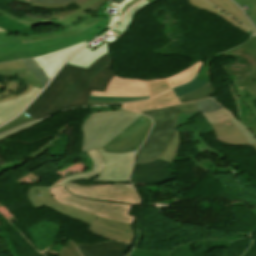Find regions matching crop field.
I'll use <instances>...</instances> for the list:
<instances>
[{"label": "crop field", "mask_w": 256, "mask_h": 256, "mask_svg": "<svg viewBox=\"0 0 256 256\" xmlns=\"http://www.w3.org/2000/svg\"><path fill=\"white\" fill-rule=\"evenodd\" d=\"M111 63L109 52L88 69L66 64L24 112L38 120L60 110L86 106L91 90L105 91L114 76Z\"/></svg>", "instance_id": "1"}, {"label": "crop field", "mask_w": 256, "mask_h": 256, "mask_svg": "<svg viewBox=\"0 0 256 256\" xmlns=\"http://www.w3.org/2000/svg\"><path fill=\"white\" fill-rule=\"evenodd\" d=\"M108 23L109 19H104L77 35L29 44H23L19 37L10 33H0V63L31 57L50 79L70 55L90 42Z\"/></svg>", "instance_id": "2"}, {"label": "crop field", "mask_w": 256, "mask_h": 256, "mask_svg": "<svg viewBox=\"0 0 256 256\" xmlns=\"http://www.w3.org/2000/svg\"><path fill=\"white\" fill-rule=\"evenodd\" d=\"M183 112H200L194 103L164 109L140 111L149 116L154 125L144 145L135 155V163L150 161L161 155L173 137L178 115Z\"/></svg>", "instance_id": "3"}, {"label": "crop field", "mask_w": 256, "mask_h": 256, "mask_svg": "<svg viewBox=\"0 0 256 256\" xmlns=\"http://www.w3.org/2000/svg\"><path fill=\"white\" fill-rule=\"evenodd\" d=\"M139 116L125 110L91 113L90 118L82 124V151L102 147Z\"/></svg>", "instance_id": "4"}, {"label": "crop field", "mask_w": 256, "mask_h": 256, "mask_svg": "<svg viewBox=\"0 0 256 256\" xmlns=\"http://www.w3.org/2000/svg\"><path fill=\"white\" fill-rule=\"evenodd\" d=\"M54 198L69 206L80 208L94 215L132 224L137 217L129 215L130 208L134 205L94 201L78 198L69 193L65 186L51 188Z\"/></svg>", "instance_id": "5"}, {"label": "crop field", "mask_w": 256, "mask_h": 256, "mask_svg": "<svg viewBox=\"0 0 256 256\" xmlns=\"http://www.w3.org/2000/svg\"><path fill=\"white\" fill-rule=\"evenodd\" d=\"M72 194L94 200L111 201L127 204H140V198L132 185L106 184L79 186L73 183L66 185Z\"/></svg>", "instance_id": "6"}, {"label": "crop field", "mask_w": 256, "mask_h": 256, "mask_svg": "<svg viewBox=\"0 0 256 256\" xmlns=\"http://www.w3.org/2000/svg\"><path fill=\"white\" fill-rule=\"evenodd\" d=\"M151 125V120L142 115L103 147L107 152H130L137 150L144 141Z\"/></svg>", "instance_id": "7"}, {"label": "crop field", "mask_w": 256, "mask_h": 256, "mask_svg": "<svg viewBox=\"0 0 256 256\" xmlns=\"http://www.w3.org/2000/svg\"><path fill=\"white\" fill-rule=\"evenodd\" d=\"M222 55L248 56L253 63L249 66L238 64V66L241 67L240 69H229L226 68L224 64L221 65V67L224 69L227 75L232 74L235 76L236 79L233 81L235 88L256 82V36L251 37L245 44L228 52L222 53Z\"/></svg>", "instance_id": "8"}, {"label": "crop field", "mask_w": 256, "mask_h": 256, "mask_svg": "<svg viewBox=\"0 0 256 256\" xmlns=\"http://www.w3.org/2000/svg\"><path fill=\"white\" fill-rule=\"evenodd\" d=\"M2 16V15H1ZM5 17V16H4ZM8 18V17H6ZM10 19V18H8ZM103 18H97L93 16H87L82 14H74L68 18H61L53 21L41 22V23H34V24H23L28 27H37L42 26L44 24L50 23H57L56 25H68V29L63 32L58 33H49L45 35H36V36H20L24 43L35 42L38 40L48 39V38H56L61 36H67L76 34L80 31L88 29L90 26L94 25L98 21L102 20ZM12 20V19H10ZM14 21V20H13ZM16 22V21H15ZM19 23V22H17ZM22 24V23H19Z\"/></svg>", "instance_id": "9"}, {"label": "crop field", "mask_w": 256, "mask_h": 256, "mask_svg": "<svg viewBox=\"0 0 256 256\" xmlns=\"http://www.w3.org/2000/svg\"><path fill=\"white\" fill-rule=\"evenodd\" d=\"M38 194H41V196H38ZM28 197L29 201L35 208L49 206L62 214H65L74 219H80L88 223L89 225H91L93 221L97 218V216H94L90 213L57 202L52 197L49 187L33 186L31 189H29Z\"/></svg>", "instance_id": "10"}, {"label": "crop field", "mask_w": 256, "mask_h": 256, "mask_svg": "<svg viewBox=\"0 0 256 256\" xmlns=\"http://www.w3.org/2000/svg\"><path fill=\"white\" fill-rule=\"evenodd\" d=\"M104 158L105 168L96 180L128 181L134 153H106L97 149Z\"/></svg>", "instance_id": "11"}, {"label": "crop field", "mask_w": 256, "mask_h": 256, "mask_svg": "<svg viewBox=\"0 0 256 256\" xmlns=\"http://www.w3.org/2000/svg\"><path fill=\"white\" fill-rule=\"evenodd\" d=\"M170 163L155 159L148 163L134 164L133 171L130 176L132 184H160L172 179H175L170 175L166 169V166Z\"/></svg>", "instance_id": "12"}, {"label": "crop field", "mask_w": 256, "mask_h": 256, "mask_svg": "<svg viewBox=\"0 0 256 256\" xmlns=\"http://www.w3.org/2000/svg\"><path fill=\"white\" fill-rule=\"evenodd\" d=\"M88 230L95 235L132 244L134 233L132 225L98 217Z\"/></svg>", "instance_id": "13"}, {"label": "crop field", "mask_w": 256, "mask_h": 256, "mask_svg": "<svg viewBox=\"0 0 256 256\" xmlns=\"http://www.w3.org/2000/svg\"><path fill=\"white\" fill-rule=\"evenodd\" d=\"M95 96H149L145 80L120 79L113 77L106 92L92 91Z\"/></svg>", "instance_id": "14"}, {"label": "crop field", "mask_w": 256, "mask_h": 256, "mask_svg": "<svg viewBox=\"0 0 256 256\" xmlns=\"http://www.w3.org/2000/svg\"><path fill=\"white\" fill-rule=\"evenodd\" d=\"M83 256H125L131 246L116 241H108L94 245L76 244Z\"/></svg>", "instance_id": "15"}, {"label": "crop field", "mask_w": 256, "mask_h": 256, "mask_svg": "<svg viewBox=\"0 0 256 256\" xmlns=\"http://www.w3.org/2000/svg\"><path fill=\"white\" fill-rule=\"evenodd\" d=\"M41 90L33 87L27 94L0 103V125L15 117Z\"/></svg>", "instance_id": "16"}, {"label": "crop field", "mask_w": 256, "mask_h": 256, "mask_svg": "<svg viewBox=\"0 0 256 256\" xmlns=\"http://www.w3.org/2000/svg\"><path fill=\"white\" fill-rule=\"evenodd\" d=\"M212 127L215 130L218 141L222 143L236 146L250 145L229 119L221 124H214ZM251 146L256 150V143Z\"/></svg>", "instance_id": "17"}, {"label": "crop field", "mask_w": 256, "mask_h": 256, "mask_svg": "<svg viewBox=\"0 0 256 256\" xmlns=\"http://www.w3.org/2000/svg\"><path fill=\"white\" fill-rule=\"evenodd\" d=\"M178 103L180 102L177 99L173 89H171L170 91H167L162 95L150 100L122 104V108L139 111L174 105Z\"/></svg>", "instance_id": "18"}, {"label": "crop field", "mask_w": 256, "mask_h": 256, "mask_svg": "<svg viewBox=\"0 0 256 256\" xmlns=\"http://www.w3.org/2000/svg\"><path fill=\"white\" fill-rule=\"evenodd\" d=\"M101 1H103V0H75L72 2L62 3V4H39V3L32 2L31 5L36 6V7H42V8H50V9H58V8L68 7V5L72 4V3H76L80 6V8H78V9H74V10H70V11H66V12H62V13H54V14H52V16L50 18L45 19V21H47V20H52V19L61 18V17H68L74 13L85 14V11L92 10L93 7Z\"/></svg>", "instance_id": "19"}, {"label": "crop field", "mask_w": 256, "mask_h": 256, "mask_svg": "<svg viewBox=\"0 0 256 256\" xmlns=\"http://www.w3.org/2000/svg\"><path fill=\"white\" fill-rule=\"evenodd\" d=\"M109 52L107 44H99L93 49L83 48L74 55L67 63L88 68L99 57Z\"/></svg>", "instance_id": "20"}, {"label": "crop field", "mask_w": 256, "mask_h": 256, "mask_svg": "<svg viewBox=\"0 0 256 256\" xmlns=\"http://www.w3.org/2000/svg\"><path fill=\"white\" fill-rule=\"evenodd\" d=\"M87 154L92 158L93 163H94V167H93L92 171L60 179V180L54 182L51 186L65 185V184L72 182L76 179H82V178L90 179L92 177L97 176L102 171V169L104 167L103 158L100 156V154L97 152L96 149L92 150V151H88Z\"/></svg>", "instance_id": "21"}, {"label": "crop field", "mask_w": 256, "mask_h": 256, "mask_svg": "<svg viewBox=\"0 0 256 256\" xmlns=\"http://www.w3.org/2000/svg\"><path fill=\"white\" fill-rule=\"evenodd\" d=\"M208 1H210L212 4H214L216 7H218L220 10L224 11L225 13L235 17L236 19H238L240 22H242L244 25H246L256 33V29L250 23L248 18L233 2H231L230 0H208Z\"/></svg>", "instance_id": "22"}, {"label": "crop field", "mask_w": 256, "mask_h": 256, "mask_svg": "<svg viewBox=\"0 0 256 256\" xmlns=\"http://www.w3.org/2000/svg\"><path fill=\"white\" fill-rule=\"evenodd\" d=\"M188 1L192 4V6L198 8L200 10H207L211 13H215L216 15L221 16L226 21L230 22L236 28H239L241 31H244L245 33L250 31L247 28H245L243 25L238 23L235 19L231 18L227 14L222 13L220 10L214 8L213 6H211L209 3L205 2L204 0H188Z\"/></svg>", "instance_id": "23"}, {"label": "crop field", "mask_w": 256, "mask_h": 256, "mask_svg": "<svg viewBox=\"0 0 256 256\" xmlns=\"http://www.w3.org/2000/svg\"><path fill=\"white\" fill-rule=\"evenodd\" d=\"M202 62H198L196 64H194L193 66L189 67V69L180 72L172 77L168 78V81L171 85V87H175L178 85H181L183 83H186L190 80H192L196 74V72L198 71L200 65Z\"/></svg>", "instance_id": "24"}, {"label": "crop field", "mask_w": 256, "mask_h": 256, "mask_svg": "<svg viewBox=\"0 0 256 256\" xmlns=\"http://www.w3.org/2000/svg\"><path fill=\"white\" fill-rule=\"evenodd\" d=\"M0 75H2V76H10V77H18L21 80H23L25 84H30L32 86L41 87L39 81L31 73V71L29 69L11 70V71H0Z\"/></svg>", "instance_id": "25"}, {"label": "crop field", "mask_w": 256, "mask_h": 256, "mask_svg": "<svg viewBox=\"0 0 256 256\" xmlns=\"http://www.w3.org/2000/svg\"><path fill=\"white\" fill-rule=\"evenodd\" d=\"M213 89H214V87L212 86L211 82H209L207 85L203 86L199 90H197L189 95L179 97V100L181 103H184V102H193V101L205 99V98L210 97V95L213 92Z\"/></svg>", "instance_id": "26"}, {"label": "crop field", "mask_w": 256, "mask_h": 256, "mask_svg": "<svg viewBox=\"0 0 256 256\" xmlns=\"http://www.w3.org/2000/svg\"><path fill=\"white\" fill-rule=\"evenodd\" d=\"M150 3L148 1H143L139 4H137L135 7H133L122 19V21L118 24L116 28H114L112 31L115 32L116 30L121 31V32H126L125 30L128 28L130 23L133 21V16L134 14L139 11L140 9H144L146 5H149Z\"/></svg>", "instance_id": "27"}, {"label": "crop field", "mask_w": 256, "mask_h": 256, "mask_svg": "<svg viewBox=\"0 0 256 256\" xmlns=\"http://www.w3.org/2000/svg\"><path fill=\"white\" fill-rule=\"evenodd\" d=\"M146 83L149 89L150 98L171 88L167 78L146 80Z\"/></svg>", "instance_id": "28"}, {"label": "crop field", "mask_w": 256, "mask_h": 256, "mask_svg": "<svg viewBox=\"0 0 256 256\" xmlns=\"http://www.w3.org/2000/svg\"><path fill=\"white\" fill-rule=\"evenodd\" d=\"M202 115L210 124L221 123L224 120L232 117V114L224 108L212 113H202Z\"/></svg>", "instance_id": "29"}, {"label": "crop field", "mask_w": 256, "mask_h": 256, "mask_svg": "<svg viewBox=\"0 0 256 256\" xmlns=\"http://www.w3.org/2000/svg\"><path fill=\"white\" fill-rule=\"evenodd\" d=\"M178 143H179V135H178V132L175 131L174 137L170 145L168 146L166 151L158 158L172 163L177 153Z\"/></svg>", "instance_id": "30"}, {"label": "crop field", "mask_w": 256, "mask_h": 256, "mask_svg": "<svg viewBox=\"0 0 256 256\" xmlns=\"http://www.w3.org/2000/svg\"><path fill=\"white\" fill-rule=\"evenodd\" d=\"M206 83L207 82L204 80H199V79L194 78L192 82L185 84L181 87L174 88V91H175L177 97H179V96L186 95V94L200 88L201 86H203Z\"/></svg>", "instance_id": "31"}, {"label": "crop field", "mask_w": 256, "mask_h": 256, "mask_svg": "<svg viewBox=\"0 0 256 256\" xmlns=\"http://www.w3.org/2000/svg\"><path fill=\"white\" fill-rule=\"evenodd\" d=\"M27 68H29L32 73L38 78L44 87L45 84L49 81L47 77L44 75L43 71L36 65L33 59L21 60ZM47 85V84H46Z\"/></svg>", "instance_id": "32"}, {"label": "crop field", "mask_w": 256, "mask_h": 256, "mask_svg": "<svg viewBox=\"0 0 256 256\" xmlns=\"http://www.w3.org/2000/svg\"><path fill=\"white\" fill-rule=\"evenodd\" d=\"M232 123L237 127V129L241 132V134L245 137V139L250 143H255L256 138L254 135L247 129L246 125L239 121L236 117L230 118Z\"/></svg>", "instance_id": "33"}, {"label": "crop field", "mask_w": 256, "mask_h": 256, "mask_svg": "<svg viewBox=\"0 0 256 256\" xmlns=\"http://www.w3.org/2000/svg\"><path fill=\"white\" fill-rule=\"evenodd\" d=\"M237 2L242 8L243 6L247 5L249 10L246 11L249 18L256 26V0H234Z\"/></svg>", "instance_id": "34"}, {"label": "crop field", "mask_w": 256, "mask_h": 256, "mask_svg": "<svg viewBox=\"0 0 256 256\" xmlns=\"http://www.w3.org/2000/svg\"><path fill=\"white\" fill-rule=\"evenodd\" d=\"M31 121H34V119L23 112L17 119H15L11 123L1 127L0 128V133H2L4 131H7L9 129H12V128L18 126V125H21V124H24V123H27V122H31Z\"/></svg>", "instance_id": "35"}, {"label": "crop field", "mask_w": 256, "mask_h": 256, "mask_svg": "<svg viewBox=\"0 0 256 256\" xmlns=\"http://www.w3.org/2000/svg\"><path fill=\"white\" fill-rule=\"evenodd\" d=\"M194 103L197 105V107L200 109L201 112H211V111H215L217 109L222 108L220 105H218L216 102H214L210 98L206 100L194 102Z\"/></svg>", "instance_id": "36"}, {"label": "crop field", "mask_w": 256, "mask_h": 256, "mask_svg": "<svg viewBox=\"0 0 256 256\" xmlns=\"http://www.w3.org/2000/svg\"><path fill=\"white\" fill-rule=\"evenodd\" d=\"M2 83L6 84L8 86L6 87V89L4 91L0 92V102L15 98L16 96H13V95L12 96H8V98H4V97L7 96L10 92L15 91V88L17 87L16 82H10V83L7 84V83H4L2 81ZM31 88H32V86L29 85L27 91L23 92V94L27 93ZM23 94H21V95H23Z\"/></svg>", "instance_id": "37"}, {"label": "crop field", "mask_w": 256, "mask_h": 256, "mask_svg": "<svg viewBox=\"0 0 256 256\" xmlns=\"http://www.w3.org/2000/svg\"><path fill=\"white\" fill-rule=\"evenodd\" d=\"M59 256H81V255L77 247L71 241H67V245L59 253Z\"/></svg>", "instance_id": "38"}, {"label": "crop field", "mask_w": 256, "mask_h": 256, "mask_svg": "<svg viewBox=\"0 0 256 256\" xmlns=\"http://www.w3.org/2000/svg\"><path fill=\"white\" fill-rule=\"evenodd\" d=\"M145 98H149V97L127 98V97H95V96H90L89 100L135 101V100L145 99Z\"/></svg>", "instance_id": "39"}, {"label": "crop field", "mask_w": 256, "mask_h": 256, "mask_svg": "<svg viewBox=\"0 0 256 256\" xmlns=\"http://www.w3.org/2000/svg\"><path fill=\"white\" fill-rule=\"evenodd\" d=\"M49 117H51V116H49ZM49 117H47V118H49ZM47 118H45V119H47ZM45 119H42V120H39V121H35V122H32V123L26 124V125H24V126L15 128V129H13V130H11V131H9V132H6V133H4V134H1V135H0V140L3 139V138H6V137H8V136H11V135H13V134H15V133H17V132H19V131H22V130L28 128V127H31V126H33V125H35V124H37V123H40V122L44 121Z\"/></svg>", "instance_id": "40"}, {"label": "crop field", "mask_w": 256, "mask_h": 256, "mask_svg": "<svg viewBox=\"0 0 256 256\" xmlns=\"http://www.w3.org/2000/svg\"><path fill=\"white\" fill-rule=\"evenodd\" d=\"M20 68H26L21 61L0 64V70H10V69H20Z\"/></svg>", "instance_id": "41"}, {"label": "crop field", "mask_w": 256, "mask_h": 256, "mask_svg": "<svg viewBox=\"0 0 256 256\" xmlns=\"http://www.w3.org/2000/svg\"><path fill=\"white\" fill-rule=\"evenodd\" d=\"M196 141H200L207 151H210V152L218 155L221 158L224 157V154H220L218 151H215V150L211 149L210 147H208L205 140L203 139V137L198 132H196Z\"/></svg>", "instance_id": "42"}, {"label": "crop field", "mask_w": 256, "mask_h": 256, "mask_svg": "<svg viewBox=\"0 0 256 256\" xmlns=\"http://www.w3.org/2000/svg\"><path fill=\"white\" fill-rule=\"evenodd\" d=\"M235 90H236V92H237V96H238V97H242L243 101H245V102L247 103V105H248L249 108H250L251 113L254 114V118L256 119V108H254V105L249 104V103L246 101V99L243 98V97L245 96V95L242 93V92H243V89L239 88V89H235Z\"/></svg>", "instance_id": "43"}, {"label": "crop field", "mask_w": 256, "mask_h": 256, "mask_svg": "<svg viewBox=\"0 0 256 256\" xmlns=\"http://www.w3.org/2000/svg\"><path fill=\"white\" fill-rule=\"evenodd\" d=\"M242 88H245L246 90L249 91V94H250V96H251V98L253 100L256 99V83L255 84H251L249 86H244Z\"/></svg>", "instance_id": "44"}, {"label": "crop field", "mask_w": 256, "mask_h": 256, "mask_svg": "<svg viewBox=\"0 0 256 256\" xmlns=\"http://www.w3.org/2000/svg\"><path fill=\"white\" fill-rule=\"evenodd\" d=\"M44 19L42 18H27V17H23L20 22H23V23H33V22H41L43 21Z\"/></svg>", "instance_id": "45"}, {"label": "crop field", "mask_w": 256, "mask_h": 256, "mask_svg": "<svg viewBox=\"0 0 256 256\" xmlns=\"http://www.w3.org/2000/svg\"><path fill=\"white\" fill-rule=\"evenodd\" d=\"M111 103H123V102H110V101H88V105H97V104H111Z\"/></svg>", "instance_id": "46"}, {"label": "crop field", "mask_w": 256, "mask_h": 256, "mask_svg": "<svg viewBox=\"0 0 256 256\" xmlns=\"http://www.w3.org/2000/svg\"><path fill=\"white\" fill-rule=\"evenodd\" d=\"M35 2H40V3H62V2H67L71 0H34Z\"/></svg>", "instance_id": "47"}, {"label": "crop field", "mask_w": 256, "mask_h": 256, "mask_svg": "<svg viewBox=\"0 0 256 256\" xmlns=\"http://www.w3.org/2000/svg\"><path fill=\"white\" fill-rule=\"evenodd\" d=\"M140 0H133L130 4H128L127 6H126V8L123 10V12L121 13V15H123L124 14V12L128 9V8H130L131 6H133L134 4H136L137 2H139Z\"/></svg>", "instance_id": "48"}, {"label": "crop field", "mask_w": 256, "mask_h": 256, "mask_svg": "<svg viewBox=\"0 0 256 256\" xmlns=\"http://www.w3.org/2000/svg\"><path fill=\"white\" fill-rule=\"evenodd\" d=\"M0 13L3 14V15H6V16H8V17H11V18H13V19H15V20H17V21L20 20V19H18V18H16V17L12 16L11 14H9V13L3 11V10H0Z\"/></svg>", "instance_id": "49"}, {"label": "crop field", "mask_w": 256, "mask_h": 256, "mask_svg": "<svg viewBox=\"0 0 256 256\" xmlns=\"http://www.w3.org/2000/svg\"><path fill=\"white\" fill-rule=\"evenodd\" d=\"M18 1H21V2H24V3H27L30 5V3L33 1V0H18Z\"/></svg>", "instance_id": "50"}, {"label": "crop field", "mask_w": 256, "mask_h": 256, "mask_svg": "<svg viewBox=\"0 0 256 256\" xmlns=\"http://www.w3.org/2000/svg\"><path fill=\"white\" fill-rule=\"evenodd\" d=\"M112 2H117V3H120L121 1L123 0H111Z\"/></svg>", "instance_id": "51"}, {"label": "crop field", "mask_w": 256, "mask_h": 256, "mask_svg": "<svg viewBox=\"0 0 256 256\" xmlns=\"http://www.w3.org/2000/svg\"><path fill=\"white\" fill-rule=\"evenodd\" d=\"M148 1L151 2V3H154V2H156L158 0H148Z\"/></svg>", "instance_id": "52"}, {"label": "crop field", "mask_w": 256, "mask_h": 256, "mask_svg": "<svg viewBox=\"0 0 256 256\" xmlns=\"http://www.w3.org/2000/svg\"><path fill=\"white\" fill-rule=\"evenodd\" d=\"M0 32H6V31H4L3 29L0 28Z\"/></svg>", "instance_id": "53"}, {"label": "crop field", "mask_w": 256, "mask_h": 256, "mask_svg": "<svg viewBox=\"0 0 256 256\" xmlns=\"http://www.w3.org/2000/svg\"><path fill=\"white\" fill-rule=\"evenodd\" d=\"M1 225V224H0Z\"/></svg>", "instance_id": "54"}]
</instances>
